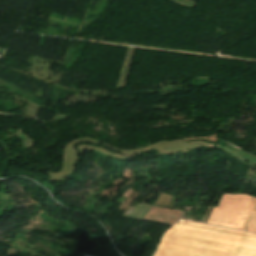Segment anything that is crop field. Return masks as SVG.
I'll return each mask as SVG.
<instances>
[{
	"label": "crop field",
	"mask_w": 256,
	"mask_h": 256,
	"mask_svg": "<svg viewBox=\"0 0 256 256\" xmlns=\"http://www.w3.org/2000/svg\"><path fill=\"white\" fill-rule=\"evenodd\" d=\"M155 256H256V234L181 221Z\"/></svg>",
	"instance_id": "obj_1"
},
{
	"label": "crop field",
	"mask_w": 256,
	"mask_h": 256,
	"mask_svg": "<svg viewBox=\"0 0 256 256\" xmlns=\"http://www.w3.org/2000/svg\"><path fill=\"white\" fill-rule=\"evenodd\" d=\"M251 199L247 195L224 194L208 223L240 229Z\"/></svg>",
	"instance_id": "obj_2"
},
{
	"label": "crop field",
	"mask_w": 256,
	"mask_h": 256,
	"mask_svg": "<svg viewBox=\"0 0 256 256\" xmlns=\"http://www.w3.org/2000/svg\"><path fill=\"white\" fill-rule=\"evenodd\" d=\"M243 230L256 232V199H252L242 228Z\"/></svg>",
	"instance_id": "obj_3"
}]
</instances>
